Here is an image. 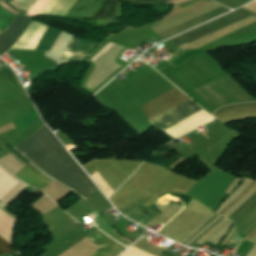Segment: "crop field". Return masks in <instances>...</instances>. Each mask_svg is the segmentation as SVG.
Returning <instances> with one entry per match:
<instances>
[{"instance_id":"obj_1","label":"crop field","mask_w":256,"mask_h":256,"mask_svg":"<svg viewBox=\"0 0 256 256\" xmlns=\"http://www.w3.org/2000/svg\"><path fill=\"white\" fill-rule=\"evenodd\" d=\"M14 149L43 172L86 199L97 188L46 125Z\"/></svg>"},{"instance_id":"obj_2","label":"crop field","mask_w":256,"mask_h":256,"mask_svg":"<svg viewBox=\"0 0 256 256\" xmlns=\"http://www.w3.org/2000/svg\"><path fill=\"white\" fill-rule=\"evenodd\" d=\"M188 99L189 98L187 96L175 87L144 104V109L148 119L150 120ZM200 109L202 108L189 99L188 101L150 120V122L164 130Z\"/></svg>"},{"instance_id":"obj_3","label":"crop field","mask_w":256,"mask_h":256,"mask_svg":"<svg viewBox=\"0 0 256 256\" xmlns=\"http://www.w3.org/2000/svg\"><path fill=\"white\" fill-rule=\"evenodd\" d=\"M61 32L62 31L58 29L50 27L36 50L50 51ZM96 45V43H92L73 36L60 59L65 61H82Z\"/></svg>"},{"instance_id":"obj_4","label":"crop field","mask_w":256,"mask_h":256,"mask_svg":"<svg viewBox=\"0 0 256 256\" xmlns=\"http://www.w3.org/2000/svg\"><path fill=\"white\" fill-rule=\"evenodd\" d=\"M250 15L236 10L218 19H215L205 25L196 27L180 36L172 38V40L179 46L190 43L196 39H199L205 35H208L214 31H217L223 27H226L232 23H235L241 19H244ZM182 47V46H181Z\"/></svg>"},{"instance_id":"obj_5","label":"crop field","mask_w":256,"mask_h":256,"mask_svg":"<svg viewBox=\"0 0 256 256\" xmlns=\"http://www.w3.org/2000/svg\"><path fill=\"white\" fill-rule=\"evenodd\" d=\"M33 18L17 16L8 30L0 36V56L19 38Z\"/></svg>"},{"instance_id":"obj_6","label":"crop field","mask_w":256,"mask_h":256,"mask_svg":"<svg viewBox=\"0 0 256 256\" xmlns=\"http://www.w3.org/2000/svg\"><path fill=\"white\" fill-rule=\"evenodd\" d=\"M101 248L92 256H118L126 247L118 244L106 234L98 230L88 237Z\"/></svg>"},{"instance_id":"obj_7","label":"crop field","mask_w":256,"mask_h":256,"mask_svg":"<svg viewBox=\"0 0 256 256\" xmlns=\"http://www.w3.org/2000/svg\"><path fill=\"white\" fill-rule=\"evenodd\" d=\"M52 0H39V2L34 6L28 16H34L35 14H40L46 10L48 5ZM77 0H53L49 5L44 14H64L70 11Z\"/></svg>"},{"instance_id":"obj_8","label":"crop field","mask_w":256,"mask_h":256,"mask_svg":"<svg viewBox=\"0 0 256 256\" xmlns=\"http://www.w3.org/2000/svg\"><path fill=\"white\" fill-rule=\"evenodd\" d=\"M214 115L223 122L235 118L256 116V103L225 106L216 111Z\"/></svg>"},{"instance_id":"obj_9","label":"crop field","mask_w":256,"mask_h":256,"mask_svg":"<svg viewBox=\"0 0 256 256\" xmlns=\"http://www.w3.org/2000/svg\"><path fill=\"white\" fill-rule=\"evenodd\" d=\"M229 11H230L229 9H227V8L222 6V7L218 8V9L212 11V12H209V13H207V14H205L203 16H200V17H198V18H196L194 20H191V21H189L187 23H184V24H182V25H180L178 27H175V28H173V29H171L169 31H166V32L160 34V36L164 40H166V39H168L170 37H173V36H175V35H177L179 33L184 32V31H186V30H188V29H190V28H192V27H194V26H196L198 24L204 23V22H206V21H208V20H210V19H212L214 17H217V16L222 15V14H224L226 12H229Z\"/></svg>"},{"instance_id":"obj_10","label":"crop field","mask_w":256,"mask_h":256,"mask_svg":"<svg viewBox=\"0 0 256 256\" xmlns=\"http://www.w3.org/2000/svg\"><path fill=\"white\" fill-rule=\"evenodd\" d=\"M15 176L40 190L44 189L46 186L53 182L42 175L30 164L15 174Z\"/></svg>"},{"instance_id":"obj_11","label":"crop field","mask_w":256,"mask_h":256,"mask_svg":"<svg viewBox=\"0 0 256 256\" xmlns=\"http://www.w3.org/2000/svg\"><path fill=\"white\" fill-rule=\"evenodd\" d=\"M39 116L34 109H32L30 112L25 114L23 117L18 119L16 122H14L15 126L18 129V133L22 132L24 129H26L28 126H30L35 121L39 120Z\"/></svg>"},{"instance_id":"obj_12","label":"crop field","mask_w":256,"mask_h":256,"mask_svg":"<svg viewBox=\"0 0 256 256\" xmlns=\"http://www.w3.org/2000/svg\"><path fill=\"white\" fill-rule=\"evenodd\" d=\"M14 17V15L0 6V29L5 31Z\"/></svg>"},{"instance_id":"obj_13","label":"crop field","mask_w":256,"mask_h":256,"mask_svg":"<svg viewBox=\"0 0 256 256\" xmlns=\"http://www.w3.org/2000/svg\"><path fill=\"white\" fill-rule=\"evenodd\" d=\"M94 174V173H93ZM94 180L99 184V186L105 191L108 196H111L114 192L111 187L105 182V180L99 175L96 171L95 174L92 176Z\"/></svg>"},{"instance_id":"obj_14","label":"crop field","mask_w":256,"mask_h":256,"mask_svg":"<svg viewBox=\"0 0 256 256\" xmlns=\"http://www.w3.org/2000/svg\"><path fill=\"white\" fill-rule=\"evenodd\" d=\"M10 252H16L12 244H10L5 239L0 237V255L7 254Z\"/></svg>"},{"instance_id":"obj_15","label":"crop field","mask_w":256,"mask_h":256,"mask_svg":"<svg viewBox=\"0 0 256 256\" xmlns=\"http://www.w3.org/2000/svg\"><path fill=\"white\" fill-rule=\"evenodd\" d=\"M256 185V180L249 186V188L236 200H234L231 204H229L220 214H222L227 208H229L233 203L237 200L241 199L249 190H251Z\"/></svg>"},{"instance_id":"obj_16","label":"crop field","mask_w":256,"mask_h":256,"mask_svg":"<svg viewBox=\"0 0 256 256\" xmlns=\"http://www.w3.org/2000/svg\"><path fill=\"white\" fill-rule=\"evenodd\" d=\"M254 235H256V228L246 237V239L250 240Z\"/></svg>"},{"instance_id":"obj_17","label":"crop field","mask_w":256,"mask_h":256,"mask_svg":"<svg viewBox=\"0 0 256 256\" xmlns=\"http://www.w3.org/2000/svg\"><path fill=\"white\" fill-rule=\"evenodd\" d=\"M1 1V0H0Z\"/></svg>"}]
</instances>
